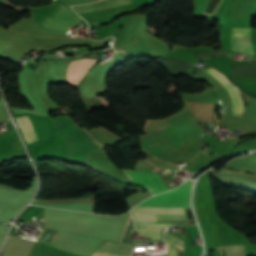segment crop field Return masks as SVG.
I'll return each mask as SVG.
<instances>
[{"mask_svg":"<svg viewBox=\"0 0 256 256\" xmlns=\"http://www.w3.org/2000/svg\"><path fill=\"white\" fill-rule=\"evenodd\" d=\"M102 63H104V62H102ZM102 63H101V64H102Z\"/></svg>","mask_w":256,"mask_h":256,"instance_id":"5142ce71","label":"crop field"},{"mask_svg":"<svg viewBox=\"0 0 256 256\" xmlns=\"http://www.w3.org/2000/svg\"><path fill=\"white\" fill-rule=\"evenodd\" d=\"M128 176L133 181L134 185L144 187L150 190L152 193L157 194L160 192L167 191L157 174H149L137 171H126ZM149 191V192H150Z\"/></svg>","mask_w":256,"mask_h":256,"instance_id":"412701ff","label":"crop field"},{"mask_svg":"<svg viewBox=\"0 0 256 256\" xmlns=\"http://www.w3.org/2000/svg\"><path fill=\"white\" fill-rule=\"evenodd\" d=\"M209 74H211L215 79H217L225 88L227 93L229 94L234 107L231 115H238L241 116L244 112V102L241 99L240 95V89H238L236 86L232 85L231 82L225 78L221 73L217 72L215 69L212 67L205 70Z\"/></svg>","mask_w":256,"mask_h":256,"instance_id":"f4fd0767","label":"crop field"},{"mask_svg":"<svg viewBox=\"0 0 256 256\" xmlns=\"http://www.w3.org/2000/svg\"><path fill=\"white\" fill-rule=\"evenodd\" d=\"M166 242L168 246V253L164 254V256H177L173 241V233L165 234Z\"/></svg>","mask_w":256,"mask_h":256,"instance_id":"d1516ede","label":"crop field"},{"mask_svg":"<svg viewBox=\"0 0 256 256\" xmlns=\"http://www.w3.org/2000/svg\"><path fill=\"white\" fill-rule=\"evenodd\" d=\"M191 111V113L195 116V118L198 121H204L206 123L212 125L213 120V126H216L217 121L214 115L215 106L219 105V102H211V108H212V120H211V108H210V102H206L207 105V113H208V121H207V113H206V105L205 102H195V103H186Z\"/></svg>","mask_w":256,"mask_h":256,"instance_id":"e52e79f7","label":"crop field"},{"mask_svg":"<svg viewBox=\"0 0 256 256\" xmlns=\"http://www.w3.org/2000/svg\"><path fill=\"white\" fill-rule=\"evenodd\" d=\"M157 256H163V255H157Z\"/></svg>","mask_w":256,"mask_h":256,"instance_id":"cbeb9de0","label":"crop field"},{"mask_svg":"<svg viewBox=\"0 0 256 256\" xmlns=\"http://www.w3.org/2000/svg\"><path fill=\"white\" fill-rule=\"evenodd\" d=\"M43 226H44V225H43ZM43 226H42V227H43Z\"/></svg>","mask_w":256,"mask_h":256,"instance_id":"d9b57169","label":"crop field"},{"mask_svg":"<svg viewBox=\"0 0 256 256\" xmlns=\"http://www.w3.org/2000/svg\"><path fill=\"white\" fill-rule=\"evenodd\" d=\"M192 181H186L177 189L153 196L137 206H179L190 207L189 195Z\"/></svg>","mask_w":256,"mask_h":256,"instance_id":"ac0d7876","label":"crop field"},{"mask_svg":"<svg viewBox=\"0 0 256 256\" xmlns=\"http://www.w3.org/2000/svg\"><path fill=\"white\" fill-rule=\"evenodd\" d=\"M79 4H83V3H88V2H92V1H96V0H73Z\"/></svg>","mask_w":256,"mask_h":256,"instance_id":"22f410ed","label":"crop field"},{"mask_svg":"<svg viewBox=\"0 0 256 256\" xmlns=\"http://www.w3.org/2000/svg\"><path fill=\"white\" fill-rule=\"evenodd\" d=\"M16 119L18 121V124L23 133L26 143L28 144V143L37 141L38 139L35 135V132L33 130V127L30 123L28 116L25 115V116L17 117Z\"/></svg>","mask_w":256,"mask_h":256,"instance_id":"28ad6ade","label":"crop field"},{"mask_svg":"<svg viewBox=\"0 0 256 256\" xmlns=\"http://www.w3.org/2000/svg\"><path fill=\"white\" fill-rule=\"evenodd\" d=\"M95 62L91 59H81L72 61L67 72V81L76 86L80 82L82 76L90 68V66Z\"/></svg>","mask_w":256,"mask_h":256,"instance_id":"d8731c3e","label":"crop field"},{"mask_svg":"<svg viewBox=\"0 0 256 256\" xmlns=\"http://www.w3.org/2000/svg\"><path fill=\"white\" fill-rule=\"evenodd\" d=\"M132 4L130 0H106L94 4L84 5V6H75L73 9L79 14L93 12L103 9H109L119 6H125Z\"/></svg>","mask_w":256,"mask_h":256,"instance_id":"3316defc","label":"crop field"},{"mask_svg":"<svg viewBox=\"0 0 256 256\" xmlns=\"http://www.w3.org/2000/svg\"><path fill=\"white\" fill-rule=\"evenodd\" d=\"M130 212L138 233L150 240H163L166 226L188 223L186 208L135 207Z\"/></svg>","mask_w":256,"mask_h":256,"instance_id":"8a807250","label":"crop field"},{"mask_svg":"<svg viewBox=\"0 0 256 256\" xmlns=\"http://www.w3.org/2000/svg\"><path fill=\"white\" fill-rule=\"evenodd\" d=\"M132 244L105 240L89 256H130Z\"/></svg>","mask_w":256,"mask_h":256,"instance_id":"dd49c442","label":"crop field"},{"mask_svg":"<svg viewBox=\"0 0 256 256\" xmlns=\"http://www.w3.org/2000/svg\"><path fill=\"white\" fill-rule=\"evenodd\" d=\"M232 48L253 55L250 29L233 28Z\"/></svg>","mask_w":256,"mask_h":256,"instance_id":"5a996713","label":"crop field"},{"mask_svg":"<svg viewBox=\"0 0 256 256\" xmlns=\"http://www.w3.org/2000/svg\"><path fill=\"white\" fill-rule=\"evenodd\" d=\"M79 17L68 7L60 5L52 18L47 17L42 27L65 33L70 23L76 24Z\"/></svg>","mask_w":256,"mask_h":256,"instance_id":"34b2d1b8","label":"crop field"}]
</instances>
